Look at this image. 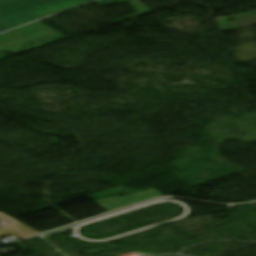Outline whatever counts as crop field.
<instances>
[{
	"mask_svg": "<svg viewBox=\"0 0 256 256\" xmlns=\"http://www.w3.org/2000/svg\"><path fill=\"white\" fill-rule=\"evenodd\" d=\"M92 0H6L0 2V24L18 25L63 11Z\"/></svg>",
	"mask_w": 256,
	"mask_h": 256,
	"instance_id": "obj_1",
	"label": "crop field"
},
{
	"mask_svg": "<svg viewBox=\"0 0 256 256\" xmlns=\"http://www.w3.org/2000/svg\"><path fill=\"white\" fill-rule=\"evenodd\" d=\"M62 34L38 21L0 35V50L13 54L22 51V47L38 40H49Z\"/></svg>",
	"mask_w": 256,
	"mask_h": 256,
	"instance_id": "obj_2",
	"label": "crop field"
},
{
	"mask_svg": "<svg viewBox=\"0 0 256 256\" xmlns=\"http://www.w3.org/2000/svg\"><path fill=\"white\" fill-rule=\"evenodd\" d=\"M158 196H162V194L158 192L155 188H153L151 190L144 191L135 195L105 199V200L97 201L96 203L99 204L107 212H109V211L130 206V205H134ZM101 203H104V204H101Z\"/></svg>",
	"mask_w": 256,
	"mask_h": 256,
	"instance_id": "obj_3",
	"label": "crop field"
},
{
	"mask_svg": "<svg viewBox=\"0 0 256 256\" xmlns=\"http://www.w3.org/2000/svg\"><path fill=\"white\" fill-rule=\"evenodd\" d=\"M0 212V219H8V220H12L14 225L8 228H3L0 229V237L3 236H8V235H14L17 234L20 237L24 238V237H28L34 234H38L37 232H35L34 230L28 228L27 226L17 222L15 219L3 214Z\"/></svg>",
	"mask_w": 256,
	"mask_h": 256,
	"instance_id": "obj_4",
	"label": "crop field"
},
{
	"mask_svg": "<svg viewBox=\"0 0 256 256\" xmlns=\"http://www.w3.org/2000/svg\"><path fill=\"white\" fill-rule=\"evenodd\" d=\"M8 30L7 28H5L4 26L0 25V32Z\"/></svg>",
	"mask_w": 256,
	"mask_h": 256,
	"instance_id": "obj_5",
	"label": "crop field"
},
{
	"mask_svg": "<svg viewBox=\"0 0 256 256\" xmlns=\"http://www.w3.org/2000/svg\"><path fill=\"white\" fill-rule=\"evenodd\" d=\"M0 1H2V0H0Z\"/></svg>",
	"mask_w": 256,
	"mask_h": 256,
	"instance_id": "obj_6",
	"label": "crop field"
}]
</instances>
